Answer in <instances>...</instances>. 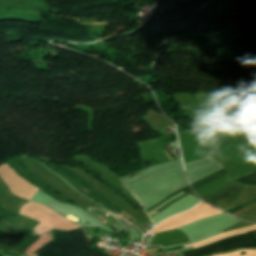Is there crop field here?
<instances>
[{"mask_svg":"<svg viewBox=\"0 0 256 256\" xmlns=\"http://www.w3.org/2000/svg\"><path fill=\"white\" fill-rule=\"evenodd\" d=\"M240 248H256V232L217 241L211 245L182 252L184 256H206Z\"/></svg>","mask_w":256,"mask_h":256,"instance_id":"obj_2","label":"crop field"},{"mask_svg":"<svg viewBox=\"0 0 256 256\" xmlns=\"http://www.w3.org/2000/svg\"><path fill=\"white\" fill-rule=\"evenodd\" d=\"M236 181H239V182L244 183V184H254V185H256V172H254L250 175H247L243 178H240Z\"/></svg>","mask_w":256,"mask_h":256,"instance_id":"obj_4","label":"crop field"},{"mask_svg":"<svg viewBox=\"0 0 256 256\" xmlns=\"http://www.w3.org/2000/svg\"><path fill=\"white\" fill-rule=\"evenodd\" d=\"M54 239L32 254L38 256H110L97 246H88L92 239H87L82 228L74 231L53 230L48 233Z\"/></svg>","mask_w":256,"mask_h":256,"instance_id":"obj_1","label":"crop field"},{"mask_svg":"<svg viewBox=\"0 0 256 256\" xmlns=\"http://www.w3.org/2000/svg\"><path fill=\"white\" fill-rule=\"evenodd\" d=\"M38 221L18 216L15 224L2 220L0 222V232H20L23 234L35 235L32 228L37 226Z\"/></svg>","mask_w":256,"mask_h":256,"instance_id":"obj_3","label":"crop field"}]
</instances>
